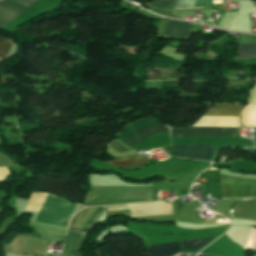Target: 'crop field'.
I'll list each match as a JSON object with an SVG mask.
<instances>
[{"label":"crop field","instance_id":"8a807250","mask_svg":"<svg viewBox=\"0 0 256 256\" xmlns=\"http://www.w3.org/2000/svg\"><path fill=\"white\" fill-rule=\"evenodd\" d=\"M244 106L216 105L204 116L236 117ZM240 127H185L171 129V136H233ZM212 144L172 145L175 156L208 160Z\"/></svg>","mask_w":256,"mask_h":256},{"label":"crop field","instance_id":"ac0d7876","mask_svg":"<svg viewBox=\"0 0 256 256\" xmlns=\"http://www.w3.org/2000/svg\"><path fill=\"white\" fill-rule=\"evenodd\" d=\"M56 197V196H55ZM46 196L45 201L42 205L40 213L35 222L51 224L57 226H67V222L75 208V206H71L67 201L57 197ZM75 205V204H72Z\"/></svg>","mask_w":256,"mask_h":256},{"label":"crop field","instance_id":"34b2d1b8","mask_svg":"<svg viewBox=\"0 0 256 256\" xmlns=\"http://www.w3.org/2000/svg\"><path fill=\"white\" fill-rule=\"evenodd\" d=\"M223 198L256 196V179H244L220 174Z\"/></svg>","mask_w":256,"mask_h":256},{"label":"crop field","instance_id":"412701ff","mask_svg":"<svg viewBox=\"0 0 256 256\" xmlns=\"http://www.w3.org/2000/svg\"><path fill=\"white\" fill-rule=\"evenodd\" d=\"M168 128H166L161 123L145 127L136 133L130 135L129 137L125 138L122 142L126 144L128 147H133L139 141L159 132H167Z\"/></svg>","mask_w":256,"mask_h":256},{"label":"crop field","instance_id":"f4fd0767","mask_svg":"<svg viewBox=\"0 0 256 256\" xmlns=\"http://www.w3.org/2000/svg\"><path fill=\"white\" fill-rule=\"evenodd\" d=\"M26 9L0 1V27L4 28Z\"/></svg>","mask_w":256,"mask_h":256},{"label":"crop field","instance_id":"dd49c442","mask_svg":"<svg viewBox=\"0 0 256 256\" xmlns=\"http://www.w3.org/2000/svg\"><path fill=\"white\" fill-rule=\"evenodd\" d=\"M181 249L179 242L151 245L143 256H169L177 254Z\"/></svg>","mask_w":256,"mask_h":256},{"label":"crop field","instance_id":"e52e79f7","mask_svg":"<svg viewBox=\"0 0 256 256\" xmlns=\"http://www.w3.org/2000/svg\"><path fill=\"white\" fill-rule=\"evenodd\" d=\"M192 24L169 20L164 36L186 37Z\"/></svg>","mask_w":256,"mask_h":256},{"label":"crop field","instance_id":"d8731c3e","mask_svg":"<svg viewBox=\"0 0 256 256\" xmlns=\"http://www.w3.org/2000/svg\"><path fill=\"white\" fill-rule=\"evenodd\" d=\"M147 157H130L119 161H108L117 167H137L146 165Z\"/></svg>","mask_w":256,"mask_h":256},{"label":"crop field","instance_id":"5a996713","mask_svg":"<svg viewBox=\"0 0 256 256\" xmlns=\"http://www.w3.org/2000/svg\"><path fill=\"white\" fill-rule=\"evenodd\" d=\"M234 59L256 58V44L238 45Z\"/></svg>","mask_w":256,"mask_h":256},{"label":"crop field","instance_id":"3316defc","mask_svg":"<svg viewBox=\"0 0 256 256\" xmlns=\"http://www.w3.org/2000/svg\"><path fill=\"white\" fill-rule=\"evenodd\" d=\"M86 234L87 232L76 231L71 229L68 238L65 242L68 243L67 250L79 248Z\"/></svg>","mask_w":256,"mask_h":256},{"label":"crop field","instance_id":"28ad6ade","mask_svg":"<svg viewBox=\"0 0 256 256\" xmlns=\"http://www.w3.org/2000/svg\"><path fill=\"white\" fill-rule=\"evenodd\" d=\"M98 207H92V209L89 211V213L86 215L84 220L81 222V224L78 226L77 229H81L82 226L86 223V221L91 217V215L95 212V210ZM103 211V208H99L96 210V212L92 215V217L87 221V223L83 226L82 229L89 230V228L92 226V224L95 222V220L98 218V216L101 214ZM101 216V215H100ZM98 220V219H97ZM95 224V223H94Z\"/></svg>","mask_w":256,"mask_h":256},{"label":"crop field","instance_id":"d1516ede","mask_svg":"<svg viewBox=\"0 0 256 256\" xmlns=\"http://www.w3.org/2000/svg\"><path fill=\"white\" fill-rule=\"evenodd\" d=\"M193 5H194V0H179L175 9L176 8L193 7ZM208 5H212V0H195L194 7L208 6ZM208 7H212V6H208ZM198 8H202V7H198Z\"/></svg>","mask_w":256,"mask_h":256},{"label":"crop field","instance_id":"22f410ed","mask_svg":"<svg viewBox=\"0 0 256 256\" xmlns=\"http://www.w3.org/2000/svg\"><path fill=\"white\" fill-rule=\"evenodd\" d=\"M177 0H153V7L171 11Z\"/></svg>","mask_w":256,"mask_h":256},{"label":"crop field","instance_id":"cbeb9de0","mask_svg":"<svg viewBox=\"0 0 256 256\" xmlns=\"http://www.w3.org/2000/svg\"><path fill=\"white\" fill-rule=\"evenodd\" d=\"M210 239H202V240H193V241H185L181 242L184 249H199L205 243L209 242Z\"/></svg>","mask_w":256,"mask_h":256},{"label":"crop field","instance_id":"5142ce71","mask_svg":"<svg viewBox=\"0 0 256 256\" xmlns=\"http://www.w3.org/2000/svg\"><path fill=\"white\" fill-rule=\"evenodd\" d=\"M10 46H11V44L9 41L0 38V57L2 59L6 56Z\"/></svg>","mask_w":256,"mask_h":256},{"label":"crop field","instance_id":"d9b57169","mask_svg":"<svg viewBox=\"0 0 256 256\" xmlns=\"http://www.w3.org/2000/svg\"><path fill=\"white\" fill-rule=\"evenodd\" d=\"M11 1L29 8L36 0H11Z\"/></svg>","mask_w":256,"mask_h":256},{"label":"crop field","instance_id":"733c2abd","mask_svg":"<svg viewBox=\"0 0 256 256\" xmlns=\"http://www.w3.org/2000/svg\"><path fill=\"white\" fill-rule=\"evenodd\" d=\"M60 256H81L78 250H72V251H64L60 254Z\"/></svg>","mask_w":256,"mask_h":256},{"label":"crop field","instance_id":"4a817a6b","mask_svg":"<svg viewBox=\"0 0 256 256\" xmlns=\"http://www.w3.org/2000/svg\"><path fill=\"white\" fill-rule=\"evenodd\" d=\"M124 205H128V204H124ZM117 206H123V205H117ZM110 207H113V206H110Z\"/></svg>","mask_w":256,"mask_h":256},{"label":"crop field","instance_id":"bc2a9ffb","mask_svg":"<svg viewBox=\"0 0 256 256\" xmlns=\"http://www.w3.org/2000/svg\"><path fill=\"white\" fill-rule=\"evenodd\" d=\"M198 256H207V255H198Z\"/></svg>","mask_w":256,"mask_h":256},{"label":"crop field","instance_id":"214f88e0","mask_svg":"<svg viewBox=\"0 0 256 256\" xmlns=\"http://www.w3.org/2000/svg\"><path fill=\"white\" fill-rule=\"evenodd\" d=\"M0 63H1V61H0Z\"/></svg>","mask_w":256,"mask_h":256}]
</instances>
